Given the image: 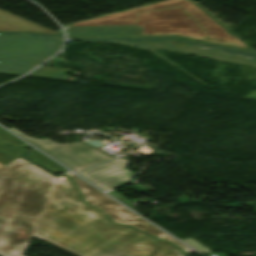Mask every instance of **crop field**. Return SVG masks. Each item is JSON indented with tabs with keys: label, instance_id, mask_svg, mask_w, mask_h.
I'll return each instance as SVG.
<instances>
[{
	"label": "crop field",
	"instance_id": "obj_5",
	"mask_svg": "<svg viewBox=\"0 0 256 256\" xmlns=\"http://www.w3.org/2000/svg\"><path fill=\"white\" fill-rule=\"evenodd\" d=\"M67 175L71 177L77 188L81 191L85 201L104 211L108 215L109 219H111L112 221L131 226L133 228L146 232L156 238L167 240L171 243L176 244L179 248L187 253L190 250L174 238L170 237L169 235L154 227L150 223L146 222L142 218L138 217L131 211L127 210L114 200L110 199L79 177L75 176L70 172L67 173Z\"/></svg>",
	"mask_w": 256,
	"mask_h": 256
},
{
	"label": "crop field",
	"instance_id": "obj_1",
	"mask_svg": "<svg viewBox=\"0 0 256 256\" xmlns=\"http://www.w3.org/2000/svg\"><path fill=\"white\" fill-rule=\"evenodd\" d=\"M32 236L77 256H185L173 246L106 220L61 182L18 158L0 169V256H23Z\"/></svg>",
	"mask_w": 256,
	"mask_h": 256
},
{
	"label": "crop field",
	"instance_id": "obj_13",
	"mask_svg": "<svg viewBox=\"0 0 256 256\" xmlns=\"http://www.w3.org/2000/svg\"><path fill=\"white\" fill-rule=\"evenodd\" d=\"M0 140L6 142L8 144H11V145H18V146H22V147L27 145L25 142L19 140L18 138H16L12 134L8 133L1 127H0Z\"/></svg>",
	"mask_w": 256,
	"mask_h": 256
},
{
	"label": "crop field",
	"instance_id": "obj_6",
	"mask_svg": "<svg viewBox=\"0 0 256 256\" xmlns=\"http://www.w3.org/2000/svg\"><path fill=\"white\" fill-rule=\"evenodd\" d=\"M10 130L23 137L36 147L50 154L74 171L110 159L109 157L81 142L71 144H56L49 140H36L28 138L13 128Z\"/></svg>",
	"mask_w": 256,
	"mask_h": 256
},
{
	"label": "crop field",
	"instance_id": "obj_12",
	"mask_svg": "<svg viewBox=\"0 0 256 256\" xmlns=\"http://www.w3.org/2000/svg\"><path fill=\"white\" fill-rule=\"evenodd\" d=\"M28 159L32 160L33 162L39 164L40 166L50 170V171H65L62 166H60L58 163L53 161L52 159L48 158L44 154L40 153L37 150H32L30 153L25 156Z\"/></svg>",
	"mask_w": 256,
	"mask_h": 256
},
{
	"label": "crop field",
	"instance_id": "obj_15",
	"mask_svg": "<svg viewBox=\"0 0 256 256\" xmlns=\"http://www.w3.org/2000/svg\"><path fill=\"white\" fill-rule=\"evenodd\" d=\"M120 160H122V159H121V158H118V159H116V160H113V161H111V162L105 163V164L100 165V166H97V167H95V168L86 170V171L81 172V173H79V174L83 175V174H85V173L91 172V171H93V170L99 169V168H101V167H104V166H106V165L112 164V163L117 162V161H120Z\"/></svg>",
	"mask_w": 256,
	"mask_h": 256
},
{
	"label": "crop field",
	"instance_id": "obj_14",
	"mask_svg": "<svg viewBox=\"0 0 256 256\" xmlns=\"http://www.w3.org/2000/svg\"><path fill=\"white\" fill-rule=\"evenodd\" d=\"M185 243L189 244L190 246H192L193 248L197 249L200 252H210L209 249H207L206 247H204L203 245H201L199 242H197L195 239L191 238V239H187V240H183Z\"/></svg>",
	"mask_w": 256,
	"mask_h": 256
},
{
	"label": "crop field",
	"instance_id": "obj_8",
	"mask_svg": "<svg viewBox=\"0 0 256 256\" xmlns=\"http://www.w3.org/2000/svg\"><path fill=\"white\" fill-rule=\"evenodd\" d=\"M69 34L78 37L127 36L141 35L142 27L137 26H102V27H68Z\"/></svg>",
	"mask_w": 256,
	"mask_h": 256
},
{
	"label": "crop field",
	"instance_id": "obj_9",
	"mask_svg": "<svg viewBox=\"0 0 256 256\" xmlns=\"http://www.w3.org/2000/svg\"><path fill=\"white\" fill-rule=\"evenodd\" d=\"M0 31H34L57 33L2 10H0Z\"/></svg>",
	"mask_w": 256,
	"mask_h": 256
},
{
	"label": "crop field",
	"instance_id": "obj_11",
	"mask_svg": "<svg viewBox=\"0 0 256 256\" xmlns=\"http://www.w3.org/2000/svg\"><path fill=\"white\" fill-rule=\"evenodd\" d=\"M26 149L21 147H11L0 142V168L10 163L12 160L24 156Z\"/></svg>",
	"mask_w": 256,
	"mask_h": 256
},
{
	"label": "crop field",
	"instance_id": "obj_2",
	"mask_svg": "<svg viewBox=\"0 0 256 256\" xmlns=\"http://www.w3.org/2000/svg\"><path fill=\"white\" fill-rule=\"evenodd\" d=\"M73 25H137L143 27L142 35L174 34L248 48L187 0H170Z\"/></svg>",
	"mask_w": 256,
	"mask_h": 256
},
{
	"label": "crop field",
	"instance_id": "obj_4",
	"mask_svg": "<svg viewBox=\"0 0 256 256\" xmlns=\"http://www.w3.org/2000/svg\"><path fill=\"white\" fill-rule=\"evenodd\" d=\"M68 38L79 39L68 36ZM84 41H117L134 44L150 49H167L175 52L207 57L231 63L256 67V52L211 45L191 40L172 37L156 38H112V39H79Z\"/></svg>",
	"mask_w": 256,
	"mask_h": 256
},
{
	"label": "crop field",
	"instance_id": "obj_10",
	"mask_svg": "<svg viewBox=\"0 0 256 256\" xmlns=\"http://www.w3.org/2000/svg\"><path fill=\"white\" fill-rule=\"evenodd\" d=\"M69 72V69L65 68H56V67H46L41 66L28 76L31 77H41V78H51V79H59L66 80V74Z\"/></svg>",
	"mask_w": 256,
	"mask_h": 256
},
{
	"label": "crop field",
	"instance_id": "obj_3",
	"mask_svg": "<svg viewBox=\"0 0 256 256\" xmlns=\"http://www.w3.org/2000/svg\"><path fill=\"white\" fill-rule=\"evenodd\" d=\"M62 37L43 33H0V73L24 75L56 53Z\"/></svg>",
	"mask_w": 256,
	"mask_h": 256
},
{
	"label": "crop field",
	"instance_id": "obj_7",
	"mask_svg": "<svg viewBox=\"0 0 256 256\" xmlns=\"http://www.w3.org/2000/svg\"><path fill=\"white\" fill-rule=\"evenodd\" d=\"M127 168L128 161L126 159L85 174L83 177L107 191L133 180L135 173L128 171Z\"/></svg>",
	"mask_w": 256,
	"mask_h": 256
}]
</instances>
